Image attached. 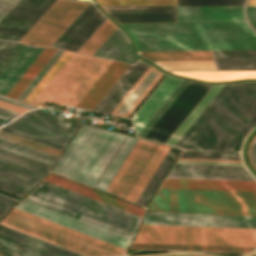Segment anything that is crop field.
I'll use <instances>...</instances> for the list:
<instances>
[{"mask_svg": "<svg viewBox=\"0 0 256 256\" xmlns=\"http://www.w3.org/2000/svg\"><path fill=\"white\" fill-rule=\"evenodd\" d=\"M6 43V41H0V50L5 46Z\"/></svg>", "mask_w": 256, "mask_h": 256, "instance_id": "obj_66", "label": "crop field"}, {"mask_svg": "<svg viewBox=\"0 0 256 256\" xmlns=\"http://www.w3.org/2000/svg\"><path fill=\"white\" fill-rule=\"evenodd\" d=\"M177 163L242 165L241 163H225V162H193V161H177Z\"/></svg>", "mask_w": 256, "mask_h": 256, "instance_id": "obj_62", "label": "crop field"}, {"mask_svg": "<svg viewBox=\"0 0 256 256\" xmlns=\"http://www.w3.org/2000/svg\"><path fill=\"white\" fill-rule=\"evenodd\" d=\"M23 44L18 43L17 46L12 50V52L7 56V58L0 65V74L5 69V67L10 63L18 51L22 48ZM24 47V46H23Z\"/></svg>", "mask_w": 256, "mask_h": 256, "instance_id": "obj_55", "label": "crop field"}, {"mask_svg": "<svg viewBox=\"0 0 256 256\" xmlns=\"http://www.w3.org/2000/svg\"><path fill=\"white\" fill-rule=\"evenodd\" d=\"M0 114L7 116L9 118H12V119L16 118L19 115V114H16V113H13V112L1 109V108H0Z\"/></svg>", "mask_w": 256, "mask_h": 256, "instance_id": "obj_63", "label": "crop field"}, {"mask_svg": "<svg viewBox=\"0 0 256 256\" xmlns=\"http://www.w3.org/2000/svg\"><path fill=\"white\" fill-rule=\"evenodd\" d=\"M128 42L127 36L117 27L93 55L100 57L106 55L105 58L114 59ZM108 50H111V52H108Z\"/></svg>", "mask_w": 256, "mask_h": 256, "instance_id": "obj_34", "label": "crop field"}, {"mask_svg": "<svg viewBox=\"0 0 256 256\" xmlns=\"http://www.w3.org/2000/svg\"><path fill=\"white\" fill-rule=\"evenodd\" d=\"M143 143H144V140L138 139L135 146L133 147V149L131 150V152L127 156L126 160L124 161V163L122 164V166L118 170L117 174L115 175V177L113 178V180L109 184L108 188L106 189V192L111 194V192L115 188L116 184L118 183V181L120 180V178L122 177L124 172L126 171L127 167L129 166V164L131 163V161L133 160V158L135 157V155L137 154V152L139 151V149H140V147L142 146Z\"/></svg>", "mask_w": 256, "mask_h": 256, "instance_id": "obj_44", "label": "crop field"}, {"mask_svg": "<svg viewBox=\"0 0 256 256\" xmlns=\"http://www.w3.org/2000/svg\"><path fill=\"white\" fill-rule=\"evenodd\" d=\"M248 6L256 7V0H250Z\"/></svg>", "mask_w": 256, "mask_h": 256, "instance_id": "obj_65", "label": "crop field"}, {"mask_svg": "<svg viewBox=\"0 0 256 256\" xmlns=\"http://www.w3.org/2000/svg\"><path fill=\"white\" fill-rule=\"evenodd\" d=\"M16 208L40 216L42 218L48 219L63 226L69 227L71 229L77 230L79 232L85 233L87 235L106 241L108 243L114 244L116 246L122 247L124 249L126 248L129 242V239H126L124 237L118 236L116 234L110 233L108 231L102 230L100 228L94 227L92 225L86 224L84 222L78 221L76 219L70 218L68 216L62 215L60 213L54 212L52 210L46 209L44 207L38 206L25 200H23L19 205H17Z\"/></svg>", "mask_w": 256, "mask_h": 256, "instance_id": "obj_14", "label": "crop field"}, {"mask_svg": "<svg viewBox=\"0 0 256 256\" xmlns=\"http://www.w3.org/2000/svg\"><path fill=\"white\" fill-rule=\"evenodd\" d=\"M30 195L57 204L59 206L68 208L70 210L79 212L81 214L87 215L89 217L95 218L97 220L103 221L105 223L111 224L113 226L119 227L132 233L134 232L138 225V222L136 221L114 214L107 210L93 206L86 202L80 201L78 199L64 195L57 191L43 187L41 185H39L35 190H33L30 193Z\"/></svg>", "mask_w": 256, "mask_h": 256, "instance_id": "obj_10", "label": "crop field"}, {"mask_svg": "<svg viewBox=\"0 0 256 256\" xmlns=\"http://www.w3.org/2000/svg\"><path fill=\"white\" fill-rule=\"evenodd\" d=\"M56 0H20L0 21V38L18 41Z\"/></svg>", "mask_w": 256, "mask_h": 256, "instance_id": "obj_12", "label": "crop field"}, {"mask_svg": "<svg viewBox=\"0 0 256 256\" xmlns=\"http://www.w3.org/2000/svg\"><path fill=\"white\" fill-rule=\"evenodd\" d=\"M110 62L72 53L31 105L45 100L75 107Z\"/></svg>", "mask_w": 256, "mask_h": 256, "instance_id": "obj_4", "label": "crop field"}, {"mask_svg": "<svg viewBox=\"0 0 256 256\" xmlns=\"http://www.w3.org/2000/svg\"><path fill=\"white\" fill-rule=\"evenodd\" d=\"M130 249L247 253L254 248L133 243Z\"/></svg>", "mask_w": 256, "mask_h": 256, "instance_id": "obj_25", "label": "crop field"}, {"mask_svg": "<svg viewBox=\"0 0 256 256\" xmlns=\"http://www.w3.org/2000/svg\"><path fill=\"white\" fill-rule=\"evenodd\" d=\"M189 82L183 80L181 84L176 88V90L171 94V96L166 100V102L161 106V108L155 113V115L150 119V121L145 125V127L137 135L143 138L145 134L150 130V128L155 124V122L161 117V115L166 111V109L171 105V103L177 98V96L182 92V90L187 86Z\"/></svg>", "mask_w": 256, "mask_h": 256, "instance_id": "obj_42", "label": "crop field"}, {"mask_svg": "<svg viewBox=\"0 0 256 256\" xmlns=\"http://www.w3.org/2000/svg\"><path fill=\"white\" fill-rule=\"evenodd\" d=\"M0 100L23 107V108H26V109H29V110L36 108V107L30 106V105H27V104H24V103H21V102H18V101H15V100L3 97V96H0Z\"/></svg>", "mask_w": 256, "mask_h": 256, "instance_id": "obj_61", "label": "crop field"}, {"mask_svg": "<svg viewBox=\"0 0 256 256\" xmlns=\"http://www.w3.org/2000/svg\"><path fill=\"white\" fill-rule=\"evenodd\" d=\"M73 218H76L78 220L84 221L86 223L92 224L94 226L100 227L102 229L108 230L110 232L116 233L118 235L124 236V237L129 238V239L132 236V233H129L127 231L121 230L119 228L113 227L111 225L105 224L103 222L94 220L92 218L86 217V216L78 214V213L76 215H74Z\"/></svg>", "mask_w": 256, "mask_h": 256, "instance_id": "obj_48", "label": "crop field"}, {"mask_svg": "<svg viewBox=\"0 0 256 256\" xmlns=\"http://www.w3.org/2000/svg\"><path fill=\"white\" fill-rule=\"evenodd\" d=\"M179 160H194V161H225V160H195V159H179ZM226 162H240V161H226Z\"/></svg>", "mask_w": 256, "mask_h": 256, "instance_id": "obj_64", "label": "crop field"}, {"mask_svg": "<svg viewBox=\"0 0 256 256\" xmlns=\"http://www.w3.org/2000/svg\"><path fill=\"white\" fill-rule=\"evenodd\" d=\"M55 49L45 48L44 51L39 55L35 62L30 66L22 78L17 82L13 89L8 93L7 97L17 99L18 96L23 92L27 85L32 81L36 74L46 64L50 57L55 53Z\"/></svg>", "mask_w": 256, "mask_h": 256, "instance_id": "obj_26", "label": "crop field"}, {"mask_svg": "<svg viewBox=\"0 0 256 256\" xmlns=\"http://www.w3.org/2000/svg\"><path fill=\"white\" fill-rule=\"evenodd\" d=\"M116 27L117 26L107 18L77 52L92 55Z\"/></svg>", "mask_w": 256, "mask_h": 256, "instance_id": "obj_36", "label": "crop field"}, {"mask_svg": "<svg viewBox=\"0 0 256 256\" xmlns=\"http://www.w3.org/2000/svg\"><path fill=\"white\" fill-rule=\"evenodd\" d=\"M149 211L256 215V193L159 189Z\"/></svg>", "mask_w": 256, "mask_h": 256, "instance_id": "obj_3", "label": "crop field"}, {"mask_svg": "<svg viewBox=\"0 0 256 256\" xmlns=\"http://www.w3.org/2000/svg\"><path fill=\"white\" fill-rule=\"evenodd\" d=\"M140 53L154 61H174V59H176V61L211 60V55H212V51L140 52ZM189 55H191V57H188ZM157 63H159L160 65L164 66L169 70H212L211 61H184V62H157ZM157 63L155 64L160 66ZM247 64H251V66L247 67ZM212 65H213V71L256 70V50L213 51ZM162 66L160 67L165 69Z\"/></svg>", "mask_w": 256, "mask_h": 256, "instance_id": "obj_6", "label": "crop field"}, {"mask_svg": "<svg viewBox=\"0 0 256 256\" xmlns=\"http://www.w3.org/2000/svg\"><path fill=\"white\" fill-rule=\"evenodd\" d=\"M50 167L0 151V190L21 198Z\"/></svg>", "mask_w": 256, "mask_h": 256, "instance_id": "obj_8", "label": "crop field"}, {"mask_svg": "<svg viewBox=\"0 0 256 256\" xmlns=\"http://www.w3.org/2000/svg\"><path fill=\"white\" fill-rule=\"evenodd\" d=\"M98 8L90 4L84 12L71 24V26L57 39V41L51 46L54 48L61 49L66 42L79 30V28L92 16V14Z\"/></svg>", "mask_w": 256, "mask_h": 256, "instance_id": "obj_39", "label": "crop field"}, {"mask_svg": "<svg viewBox=\"0 0 256 256\" xmlns=\"http://www.w3.org/2000/svg\"><path fill=\"white\" fill-rule=\"evenodd\" d=\"M247 17L251 25L256 28V8L247 7Z\"/></svg>", "mask_w": 256, "mask_h": 256, "instance_id": "obj_60", "label": "crop field"}, {"mask_svg": "<svg viewBox=\"0 0 256 256\" xmlns=\"http://www.w3.org/2000/svg\"><path fill=\"white\" fill-rule=\"evenodd\" d=\"M256 123V111L236 133V135L230 140L223 150L233 151L234 148L239 144L243 137L248 133L252 126Z\"/></svg>", "mask_w": 256, "mask_h": 256, "instance_id": "obj_47", "label": "crop field"}, {"mask_svg": "<svg viewBox=\"0 0 256 256\" xmlns=\"http://www.w3.org/2000/svg\"><path fill=\"white\" fill-rule=\"evenodd\" d=\"M117 22H176V13L110 14Z\"/></svg>", "mask_w": 256, "mask_h": 256, "instance_id": "obj_37", "label": "crop field"}, {"mask_svg": "<svg viewBox=\"0 0 256 256\" xmlns=\"http://www.w3.org/2000/svg\"><path fill=\"white\" fill-rule=\"evenodd\" d=\"M11 213H14L16 215H19V216H22L24 218H27V219H30L32 221H35V222H38L40 224H43V225H46V226H49L51 228H54V229H57L59 231H62V232H65L67 234H70V235H73L75 237H78V238H81L83 240H86V241H89V242H92L94 244H97V245H100L102 247H105V248H108L110 250H113V251H116L118 253H121L123 254L124 253V249L122 248H119V247H116L114 245H111V244H108L106 242H103V241H100L98 239H95V238H92L90 236H87L85 234H82V233H79L77 231H74V230H71L69 228H66V227H63L61 225H58V224H55L53 222H50L48 220H45V219H42L40 217H37V216H34L32 214H29V213H26L24 211H21V210H18L16 208H14Z\"/></svg>", "mask_w": 256, "mask_h": 256, "instance_id": "obj_27", "label": "crop field"}, {"mask_svg": "<svg viewBox=\"0 0 256 256\" xmlns=\"http://www.w3.org/2000/svg\"><path fill=\"white\" fill-rule=\"evenodd\" d=\"M211 86L190 82L144 139L165 144Z\"/></svg>", "mask_w": 256, "mask_h": 256, "instance_id": "obj_9", "label": "crop field"}, {"mask_svg": "<svg viewBox=\"0 0 256 256\" xmlns=\"http://www.w3.org/2000/svg\"><path fill=\"white\" fill-rule=\"evenodd\" d=\"M2 222L18 227L20 229L26 230L33 234L39 235L41 237L47 238L49 240L55 241L57 243L63 244L65 246H68L70 248L76 249L78 251L84 252L92 256L119 255L116 252H113L108 249L102 248L100 246L94 245L92 243L83 241L81 239L75 238L73 236H70L65 233L59 232L57 230L51 229L49 227L40 225L38 223L32 222L30 220L24 219L22 217L16 216L11 213H9L2 220Z\"/></svg>", "mask_w": 256, "mask_h": 256, "instance_id": "obj_13", "label": "crop field"}, {"mask_svg": "<svg viewBox=\"0 0 256 256\" xmlns=\"http://www.w3.org/2000/svg\"><path fill=\"white\" fill-rule=\"evenodd\" d=\"M157 147V144L150 143L145 141L143 146L141 147L140 151L130 164L129 168L117 184L116 188L112 192L113 195L120 196L124 198L126 193L128 192L129 188L139 175L140 171L152 155L153 151Z\"/></svg>", "mask_w": 256, "mask_h": 256, "instance_id": "obj_23", "label": "crop field"}, {"mask_svg": "<svg viewBox=\"0 0 256 256\" xmlns=\"http://www.w3.org/2000/svg\"><path fill=\"white\" fill-rule=\"evenodd\" d=\"M168 178L255 181L244 167L176 164Z\"/></svg>", "mask_w": 256, "mask_h": 256, "instance_id": "obj_15", "label": "crop field"}, {"mask_svg": "<svg viewBox=\"0 0 256 256\" xmlns=\"http://www.w3.org/2000/svg\"><path fill=\"white\" fill-rule=\"evenodd\" d=\"M107 13L176 12V5L101 6Z\"/></svg>", "mask_w": 256, "mask_h": 256, "instance_id": "obj_38", "label": "crop field"}, {"mask_svg": "<svg viewBox=\"0 0 256 256\" xmlns=\"http://www.w3.org/2000/svg\"><path fill=\"white\" fill-rule=\"evenodd\" d=\"M41 185H44V186H46V187L52 188V189L57 190V191H60V192H62V193L71 195V196L76 197V198H79V199H81V200L90 202V203H92V204L98 205V206L103 207V208H106V209H108V210L117 212V213H119V214L125 215V216L130 217V218H133V219H135V220H138V221L140 220V217H138V216L132 215V214L127 213V212H124V211H122V210H119V209H116V208H114V207L108 206V205H106V204L100 203V202H98V201L92 200V199H90V198H87V197H85V196H82V195H79V194H77V193L71 192V191H69V190L63 189V188H61V187L55 186V185H53V184L47 183V182H45V181H43V182L41 183Z\"/></svg>", "mask_w": 256, "mask_h": 256, "instance_id": "obj_43", "label": "crop field"}, {"mask_svg": "<svg viewBox=\"0 0 256 256\" xmlns=\"http://www.w3.org/2000/svg\"><path fill=\"white\" fill-rule=\"evenodd\" d=\"M0 248L19 256H58L2 234H0Z\"/></svg>", "mask_w": 256, "mask_h": 256, "instance_id": "obj_32", "label": "crop field"}, {"mask_svg": "<svg viewBox=\"0 0 256 256\" xmlns=\"http://www.w3.org/2000/svg\"><path fill=\"white\" fill-rule=\"evenodd\" d=\"M63 51L57 50L56 53L51 57L47 64L42 68L38 75L33 79V81L28 85L24 92L19 96L18 100L23 101L24 98L29 94V92L34 88L38 81L43 77V75L48 71L52 64L57 60V58L62 54Z\"/></svg>", "mask_w": 256, "mask_h": 256, "instance_id": "obj_49", "label": "crop field"}, {"mask_svg": "<svg viewBox=\"0 0 256 256\" xmlns=\"http://www.w3.org/2000/svg\"><path fill=\"white\" fill-rule=\"evenodd\" d=\"M223 85H213L212 88L207 92L203 99L198 103L190 115L185 119L181 126L176 130L172 137L167 141V145L174 146L175 143L180 139V137L185 133L189 126L194 122L198 115L203 111V109L208 105L212 98L217 94V92L222 88Z\"/></svg>", "mask_w": 256, "mask_h": 256, "instance_id": "obj_31", "label": "crop field"}, {"mask_svg": "<svg viewBox=\"0 0 256 256\" xmlns=\"http://www.w3.org/2000/svg\"><path fill=\"white\" fill-rule=\"evenodd\" d=\"M253 143H255V144H256V138H255V140L253 141Z\"/></svg>", "mask_w": 256, "mask_h": 256, "instance_id": "obj_67", "label": "crop field"}, {"mask_svg": "<svg viewBox=\"0 0 256 256\" xmlns=\"http://www.w3.org/2000/svg\"><path fill=\"white\" fill-rule=\"evenodd\" d=\"M154 72H152V71ZM151 71V72H150ZM150 74L148 75V73ZM148 75V76H147ZM157 75V76H156ZM163 74L160 73L159 71L155 70L152 67H148L147 70L142 74V76L137 80V82L132 86V88L127 92V94L122 98V100L117 104V106L112 110L110 114L112 115H118V116H124L128 117L130 113L135 109V107L140 103V101L145 97V95L151 90V88L156 84V82L161 78ZM147 76V77H146ZM156 76V77H155ZM146 77V78H145ZM155 77V79H154ZM145 80L143 81V79ZM154 79V80H153ZM153 80V81H152ZM143 81V82H142ZM152 81V82H151ZM142 82V83H141ZM151 82V83H150ZM141 83V84H140ZM150 83V85H149ZM140 86L138 87V85ZM149 85V86H148ZM148 86V87H147ZM138 87V88H137ZM147 87V88H146ZM137 88V89H136ZM146 88V89H145ZM136 89V90H135ZM145 89V90H144ZM135 92L133 93V91ZM144 90V92H143ZM143 92V93H142ZM133 93V94H132ZM142 93V94H141ZM132 94V95H131ZM141 94V95H140ZM131 95V96H130ZM140 95V96H139ZM130 98L128 99V97ZM139 96V98H138ZM138 98V99H137ZM128 99V100H127ZM137 99V100H136ZM127 100V101H126ZM136 100V101H135ZM126 101V102H125ZM135 101V102H134ZM125 104L123 105V103ZM134 102V103H133ZM133 103V105H132ZM123 105V106H122ZM132 105V106H131ZM122 106V107H121ZM131 106V107H130ZM121 107V108H120ZM130 107V108H129ZM120 110L118 111V109ZM129 108V109H128ZM128 109V111H127ZM121 112V113H126L125 114H120L116 112Z\"/></svg>", "mask_w": 256, "mask_h": 256, "instance_id": "obj_20", "label": "crop field"}, {"mask_svg": "<svg viewBox=\"0 0 256 256\" xmlns=\"http://www.w3.org/2000/svg\"><path fill=\"white\" fill-rule=\"evenodd\" d=\"M0 130H3V131H6V132H9V133H12V134H15V135L27 138V139H31V140H34V141H37V142H40V143H43V144H46V145H49V146H52V147H55V148L63 150V147H60V146H57V145H54V144H51V143H48V142L36 139V138H32V137H29V136H26V135H23V134H20V133H17V132H14V131H11V130H8V129H5V128H2Z\"/></svg>", "mask_w": 256, "mask_h": 256, "instance_id": "obj_56", "label": "crop field"}, {"mask_svg": "<svg viewBox=\"0 0 256 256\" xmlns=\"http://www.w3.org/2000/svg\"><path fill=\"white\" fill-rule=\"evenodd\" d=\"M70 52L64 51L63 54L58 58V60L53 64L49 71L44 75V77L39 81L35 88L30 92V94L25 98L24 102L30 104L31 101L36 97V95L41 91V89L46 85L50 78L55 74V72L60 68V66L65 62V60L70 56Z\"/></svg>", "mask_w": 256, "mask_h": 256, "instance_id": "obj_41", "label": "crop field"}, {"mask_svg": "<svg viewBox=\"0 0 256 256\" xmlns=\"http://www.w3.org/2000/svg\"><path fill=\"white\" fill-rule=\"evenodd\" d=\"M128 66V64L112 61L76 107L92 110Z\"/></svg>", "mask_w": 256, "mask_h": 256, "instance_id": "obj_19", "label": "crop field"}, {"mask_svg": "<svg viewBox=\"0 0 256 256\" xmlns=\"http://www.w3.org/2000/svg\"><path fill=\"white\" fill-rule=\"evenodd\" d=\"M45 181L53 183L55 185L61 186L63 188L69 189L71 191L77 192L79 194L85 195L87 197L93 198L100 202L106 203L108 205L114 206L116 208L122 209L124 211L130 212L132 214L142 216L144 209L136 207L134 205L128 204L126 202L120 201L113 197L107 196L105 194L99 193L97 191L91 190L89 188L83 187L76 183L70 182L68 180L62 179L60 177L50 174Z\"/></svg>", "mask_w": 256, "mask_h": 256, "instance_id": "obj_22", "label": "crop field"}, {"mask_svg": "<svg viewBox=\"0 0 256 256\" xmlns=\"http://www.w3.org/2000/svg\"><path fill=\"white\" fill-rule=\"evenodd\" d=\"M161 188L256 191V182L166 179Z\"/></svg>", "mask_w": 256, "mask_h": 256, "instance_id": "obj_21", "label": "crop field"}, {"mask_svg": "<svg viewBox=\"0 0 256 256\" xmlns=\"http://www.w3.org/2000/svg\"><path fill=\"white\" fill-rule=\"evenodd\" d=\"M134 66L130 65L128 69L123 73V75L117 80V82L112 86V88L106 93V95L100 100V102L95 106L93 110L98 111L99 108L104 104V102L109 98L113 91L118 87V85L123 81L127 74L132 70Z\"/></svg>", "mask_w": 256, "mask_h": 256, "instance_id": "obj_50", "label": "crop field"}, {"mask_svg": "<svg viewBox=\"0 0 256 256\" xmlns=\"http://www.w3.org/2000/svg\"><path fill=\"white\" fill-rule=\"evenodd\" d=\"M0 107L10 110V111H13V112H16V113H19V114H21L25 111H29V110H26V109H23V108H20V107H17V106H14V105L2 102V101H0Z\"/></svg>", "mask_w": 256, "mask_h": 256, "instance_id": "obj_58", "label": "crop field"}, {"mask_svg": "<svg viewBox=\"0 0 256 256\" xmlns=\"http://www.w3.org/2000/svg\"><path fill=\"white\" fill-rule=\"evenodd\" d=\"M88 5L57 0L19 41L50 47Z\"/></svg>", "mask_w": 256, "mask_h": 256, "instance_id": "obj_7", "label": "crop field"}, {"mask_svg": "<svg viewBox=\"0 0 256 256\" xmlns=\"http://www.w3.org/2000/svg\"><path fill=\"white\" fill-rule=\"evenodd\" d=\"M17 43L8 42L6 46L0 52V64L6 58V56L11 52V50L16 46Z\"/></svg>", "mask_w": 256, "mask_h": 256, "instance_id": "obj_57", "label": "crop field"}, {"mask_svg": "<svg viewBox=\"0 0 256 256\" xmlns=\"http://www.w3.org/2000/svg\"><path fill=\"white\" fill-rule=\"evenodd\" d=\"M136 141H137L136 138L127 136L124 143L122 144L117 154L113 158L112 162L110 163L105 173L103 174L98 184L96 185V188L105 191L108 184L116 174L117 170L125 160L126 156L130 152V150L132 149Z\"/></svg>", "mask_w": 256, "mask_h": 256, "instance_id": "obj_30", "label": "crop field"}, {"mask_svg": "<svg viewBox=\"0 0 256 256\" xmlns=\"http://www.w3.org/2000/svg\"><path fill=\"white\" fill-rule=\"evenodd\" d=\"M178 75L204 81H228L244 78H256V71L244 72H171Z\"/></svg>", "mask_w": 256, "mask_h": 256, "instance_id": "obj_33", "label": "crop field"}, {"mask_svg": "<svg viewBox=\"0 0 256 256\" xmlns=\"http://www.w3.org/2000/svg\"><path fill=\"white\" fill-rule=\"evenodd\" d=\"M115 59L130 63H135L138 60L131 50L130 43L126 45V47L118 54Z\"/></svg>", "mask_w": 256, "mask_h": 256, "instance_id": "obj_51", "label": "crop field"}, {"mask_svg": "<svg viewBox=\"0 0 256 256\" xmlns=\"http://www.w3.org/2000/svg\"><path fill=\"white\" fill-rule=\"evenodd\" d=\"M106 18L98 9L62 49L76 52Z\"/></svg>", "mask_w": 256, "mask_h": 256, "instance_id": "obj_28", "label": "crop field"}, {"mask_svg": "<svg viewBox=\"0 0 256 256\" xmlns=\"http://www.w3.org/2000/svg\"><path fill=\"white\" fill-rule=\"evenodd\" d=\"M182 80L165 76L149 97L133 114V125L136 134L144 127L159 107L165 102Z\"/></svg>", "mask_w": 256, "mask_h": 256, "instance_id": "obj_16", "label": "crop field"}, {"mask_svg": "<svg viewBox=\"0 0 256 256\" xmlns=\"http://www.w3.org/2000/svg\"><path fill=\"white\" fill-rule=\"evenodd\" d=\"M134 242L256 247V229L142 225Z\"/></svg>", "mask_w": 256, "mask_h": 256, "instance_id": "obj_5", "label": "crop field"}, {"mask_svg": "<svg viewBox=\"0 0 256 256\" xmlns=\"http://www.w3.org/2000/svg\"><path fill=\"white\" fill-rule=\"evenodd\" d=\"M0 150H4V151H7V152H10V153L22 156V157H26V158H29V159H32V160H35V161H38V162H41V163L51 165V166H53V164H54V162L44 160V159L29 155V154H25V153H22V152H19V151L10 149V148H6V147H3V146H0Z\"/></svg>", "mask_w": 256, "mask_h": 256, "instance_id": "obj_53", "label": "crop field"}, {"mask_svg": "<svg viewBox=\"0 0 256 256\" xmlns=\"http://www.w3.org/2000/svg\"><path fill=\"white\" fill-rule=\"evenodd\" d=\"M143 224L256 228V216L148 213Z\"/></svg>", "mask_w": 256, "mask_h": 256, "instance_id": "obj_11", "label": "crop field"}, {"mask_svg": "<svg viewBox=\"0 0 256 256\" xmlns=\"http://www.w3.org/2000/svg\"><path fill=\"white\" fill-rule=\"evenodd\" d=\"M44 48H31L26 45L0 75V94L6 96ZM33 50V51H31Z\"/></svg>", "mask_w": 256, "mask_h": 256, "instance_id": "obj_18", "label": "crop field"}, {"mask_svg": "<svg viewBox=\"0 0 256 256\" xmlns=\"http://www.w3.org/2000/svg\"><path fill=\"white\" fill-rule=\"evenodd\" d=\"M124 137L82 124L53 172L94 187Z\"/></svg>", "mask_w": 256, "mask_h": 256, "instance_id": "obj_2", "label": "crop field"}, {"mask_svg": "<svg viewBox=\"0 0 256 256\" xmlns=\"http://www.w3.org/2000/svg\"><path fill=\"white\" fill-rule=\"evenodd\" d=\"M245 0H178V6L243 5Z\"/></svg>", "mask_w": 256, "mask_h": 256, "instance_id": "obj_45", "label": "crop field"}, {"mask_svg": "<svg viewBox=\"0 0 256 256\" xmlns=\"http://www.w3.org/2000/svg\"><path fill=\"white\" fill-rule=\"evenodd\" d=\"M137 51L256 49L245 22L120 24Z\"/></svg>", "mask_w": 256, "mask_h": 256, "instance_id": "obj_1", "label": "crop field"}, {"mask_svg": "<svg viewBox=\"0 0 256 256\" xmlns=\"http://www.w3.org/2000/svg\"><path fill=\"white\" fill-rule=\"evenodd\" d=\"M242 7H178V21H245Z\"/></svg>", "mask_w": 256, "mask_h": 256, "instance_id": "obj_17", "label": "crop field"}, {"mask_svg": "<svg viewBox=\"0 0 256 256\" xmlns=\"http://www.w3.org/2000/svg\"><path fill=\"white\" fill-rule=\"evenodd\" d=\"M169 147L161 146L157 148L131 189L129 190L128 194L126 195L125 199L136 203L137 199L141 195L142 191L146 187L147 183L151 179L152 175L156 171L157 167L161 163L162 159L166 155Z\"/></svg>", "mask_w": 256, "mask_h": 256, "instance_id": "obj_24", "label": "crop field"}, {"mask_svg": "<svg viewBox=\"0 0 256 256\" xmlns=\"http://www.w3.org/2000/svg\"><path fill=\"white\" fill-rule=\"evenodd\" d=\"M19 0H0V20L5 16V14L18 2Z\"/></svg>", "mask_w": 256, "mask_h": 256, "instance_id": "obj_54", "label": "crop field"}, {"mask_svg": "<svg viewBox=\"0 0 256 256\" xmlns=\"http://www.w3.org/2000/svg\"><path fill=\"white\" fill-rule=\"evenodd\" d=\"M99 5L176 4V0H96Z\"/></svg>", "mask_w": 256, "mask_h": 256, "instance_id": "obj_46", "label": "crop field"}, {"mask_svg": "<svg viewBox=\"0 0 256 256\" xmlns=\"http://www.w3.org/2000/svg\"><path fill=\"white\" fill-rule=\"evenodd\" d=\"M0 232L3 234L9 235L11 237L17 238L19 240L25 241L27 243L33 244L35 246L41 247L43 249L49 250L51 252L57 253L62 256H83L75 252L66 250L64 248L58 247L56 245L50 244L48 242L31 237L29 235L12 230L10 228L4 227L2 225H0Z\"/></svg>", "mask_w": 256, "mask_h": 256, "instance_id": "obj_35", "label": "crop field"}, {"mask_svg": "<svg viewBox=\"0 0 256 256\" xmlns=\"http://www.w3.org/2000/svg\"><path fill=\"white\" fill-rule=\"evenodd\" d=\"M16 201L17 199L15 198L0 194V216L4 214Z\"/></svg>", "mask_w": 256, "mask_h": 256, "instance_id": "obj_52", "label": "crop field"}, {"mask_svg": "<svg viewBox=\"0 0 256 256\" xmlns=\"http://www.w3.org/2000/svg\"><path fill=\"white\" fill-rule=\"evenodd\" d=\"M0 138L20 144V145L30 147V148H33V149L57 156V157L59 156V154L61 152V150H58V149L34 142V141H30V140H27V139H24V138H21V137H18V136H15V135L3 132V131H0Z\"/></svg>", "mask_w": 256, "mask_h": 256, "instance_id": "obj_40", "label": "crop field"}, {"mask_svg": "<svg viewBox=\"0 0 256 256\" xmlns=\"http://www.w3.org/2000/svg\"><path fill=\"white\" fill-rule=\"evenodd\" d=\"M0 224H2V225H4V226H7V227H10V228H12V229L21 231V232H23V233L29 234V235H31V236L37 237V238H39V239L48 241V242H50V243L56 244V245H58V246L67 248V249H69V250L75 251V252H77V253L83 254V255H85V256H89V255H86V254H84V253H81V252H78V251H76V250H73V249H70V248H68V247H65V246H63V245H60V244H57V243H55V242L49 241V240H47V239L41 238V237H39V236L33 235V234L28 233V232H26V231H23V230H20V229H18V228L12 227V226H10V225L4 224V223H2V222H0Z\"/></svg>", "mask_w": 256, "mask_h": 256, "instance_id": "obj_59", "label": "crop field"}, {"mask_svg": "<svg viewBox=\"0 0 256 256\" xmlns=\"http://www.w3.org/2000/svg\"><path fill=\"white\" fill-rule=\"evenodd\" d=\"M148 66V64L140 61L134 68V70L129 74V76L123 81V83L117 88V90L112 94V96L101 107L99 112L109 114Z\"/></svg>", "mask_w": 256, "mask_h": 256, "instance_id": "obj_29", "label": "crop field"}]
</instances>
